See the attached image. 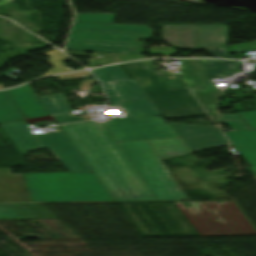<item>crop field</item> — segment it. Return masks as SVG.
<instances>
[{
    "mask_svg": "<svg viewBox=\"0 0 256 256\" xmlns=\"http://www.w3.org/2000/svg\"><path fill=\"white\" fill-rule=\"evenodd\" d=\"M113 107L124 108L125 117L160 115L149 99L116 104Z\"/></svg>",
    "mask_w": 256,
    "mask_h": 256,
    "instance_id": "obj_21",
    "label": "crop field"
},
{
    "mask_svg": "<svg viewBox=\"0 0 256 256\" xmlns=\"http://www.w3.org/2000/svg\"><path fill=\"white\" fill-rule=\"evenodd\" d=\"M151 35L148 26L74 22L65 49L122 53V48L132 47L135 52L125 54H137L140 43L132 40Z\"/></svg>",
    "mask_w": 256,
    "mask_h": 256,
    "instance_id": "obj_3",
    "label": "crop field"
},
{
    "mask_svg": "<svg viewBox=\"0 0 256 256\" xmlns=\"http://www.w3.org/2000/svg\"><path fill=\"white\" fill-rule=\"evenodd\" d=\"M56 218L40 204H0V220Z\"/></svg>",
    "mask_w": 256,
    "mask_h": 256,
    "instance_id": "obj_12",
    "label": "crop field"
},
{
    "mask_svg": "<svg viewBox=\"0 0 256 256\" xmlns=\"http://www.w3.org/2000/svg\"><path fill=\"white\" fill-rule=\"evenodd\" d=\"M118 144L159 200L188 199L147 140Z\"/></svg>",
    "mask_w": 256,
    "mask_h": 256,
    "instance_id": "obj_6",
    "label": "crop field"
},
{
    "mask_svg": "<svg viewBox=\"0 0 256 256\" xmlns=\"http://www.w3.org/2000/svg\"><path fill=\"white\" fill-rule=\"evenodd\" d=\"M20 151L43 148L23 121L1 124Z\"/></svg>",
    "mask_w": 256,
    "mask_h": 256,
    "instance_id": "obj_15",
    "label": "crop field"
},
{
    "mask_svg": "<svg viewBox=\"0 0 256 256\" xmlns=\"http://www.w3.org/2000/svg\"><path fill=\"white\" fill-rule=\"evenodd\" d=\"M89 75H90L89 72L83 71V72L59 75L58 77L62 80H65V79H71V78H77V77H83V76H89Z\"/></svg>",
    "mask_w": 256,
    "mask_h": 256,
    "instance_id": "obj_30",
    "label": "crop field"
},
{
    "mask_svg": "<svg viewBox=\"0 0 256 256\" xmlns=\"http://www.w3.org/2000/svg\"><path fill=\"white\" fill-rule=\"evenodd\" d=\"M237 61L207 60L205 74L212 82L227 80L235 71L233 66Z\"/></svg>",
    "mask_w": 256,
    "mask_h": 256,
    "instance_id": "obj_20",
    "label": "crop field"
},
{
    "mask_svg": "<svg viewBox=\"0 0 256 256\" xmlns=\"http://www.w3.org/2000/svg\"><path fill=\"white\" fill-rule=\"evenodd\" d=\"M8 1H10V0H1L0 5L3 4V3H6Z\"/></svg>",
    "mask_w": 256,
    "mask_h": 256,
    "instance_id": "obj_34",
    "label": "crop field"
},
{
    "mask_svg": "<svg viewBox=\"0 0 256 256\" xmlns=\"http://www.w3.org/2000/svg\"><path fill=\"white\" fill-rule=\"evenodd\" d=\"M43 147H48L68 172H92L63 131L36 135Z\"/></svg>",
    "mask_w": 256,
    "mask_h": 256,
    "instance_id": "obj_10",
    "label": "crop field"
},
{
    "mask_svg": "<svg viewBox=\"0 0 256 256\" xmlns=\"http://www.w3.org/2000/svg\"><path fill=\"white\" fill-rule=\"evenodd\" d=\"M225 135L250 166L256 165V131L227 132Z\"/></svg>",
    "mask_w": 256,
    "mask_h": 256,
    "instance_id": "obj_16",
    "label": "crop field"
},
{
    "mask_svg": "<svg viewBox=\"0 0 256 256\" xmlns=\"http://www.w3.org/2000/svg\"><path fill=\"white\" fill-rule=\"evenodd\" d=\"M116 141L156 139L178 136L160 117L112 119L104 123Z\"/></svg>",
    "mask_w": 256,
    "mask_h": 256,
    "instance_id": "obj_7",
    "label": "crop field"
},
{
    "mask_svg": "<svg viewBox=\"0 0 256 256\" xmlns=\"http://www.w3.org/2000/svg\"><path fill=\"white\" fill-rule=\"evenodd\" d=\"M251 129H256V111L239 113Z\"/></svg>",
    "mask_w": 256,
    "mask_h": 256,
    "instance_id": "obj_27",
    "label": "crop field"
},
{
    "mask_svg": "<svg viewBox=\"0 0 256 256\" xmlns=\"http://www.w3.org/2000/svg\"><path fill=\"white\" fill-rule=\"evenodd\" d=\"M206 60H180L181 75L188 88L208 110L216 113L214 104L221 92L204 74Z\"/></svg>",
    "mask_w": 256,
    "mask_h": 256,
    "instance_id": "obj_8",
    "label": "crop field"
},
{
    "mask_svg": "<svg viewBox=\"0 0 256 256\" xmlns=\"http://www.w3.org/2000/svg\"><path fill=\"white\" fill-rule=\"evenodd\" d=\"M209 53L213 54L216 57H226V58H233L227 52H225L222 48L217 49H209L207 50Z\"/></svg>",
    "mask_w": 256,
    "mask_h": 256,
    "instance_id": "obj_31",
    "label": "crop field"
},
{
    "mask_svg": "<svg viewBox=\"0 0 256 256\" xmlns=\"http://www.w3.org/2000/svg\"><path fill=\"white\" fill-rule=\"evenodd\" d=\"M95 83V80H84L80 87H79V90L80 91H85V90H89L92 85Z\"/></svg>",
    "mask_w": 256,
    "mask_h": 256,
    "instance_id": "obj_32",
    "label": "crop field"
},
{
    "mask_svg": "<svg viewBox=\"0 0 256 256\" xmlns=\"http://www.w3.org/2000/svg\"><path fill=\"white\" fill-rule=\"evenodd\" d=\"M210 117L214 122L218 123L217 116L210 115Z\"/></svg>",
    "mask_w": 256,
    "mask_h": 256,
    "instance_id": "obj_33",
    "label": "crop field"
},
{
    "mask_svg": "<svg viewBox=\"0 0 256 256\" xmlns=\"http://www.w3.org/2000/svg\"><path fill=\"white\" fill-rule=\"evenodd\" d=\"M19 111L5 91L0 92V123L24 119Z\"/></svg>",
    "mask_w": 256,
    "mask_h": 256,
    "instance_id": "obj_22",
    "label": "crop field"
},
{
    "mask_svg": "<svg viewBox=\"0 0 256 256\" xmlns=\"http://www.w3.org/2000/svg\"><path fill=\"white\" fill-rule=\"evenodd\" d=\"M221 123L230 127L232 131L249 129L238 114L220 116Z\"/></svg>",
    "mask_w": 256,
    "mask_h": 256,
    "instance_id": "obj_26",
    "label": "crop field"
},
{
    "mask_svg": "<svg viewBox=\"0 0 256 256\" xmlns=\"http://www.w3.org/2000/svg\"><path fill=\"white\" fill-rule=\"evenodd\" d=\"M74 21L113 23L115 14H76Z\"/></svg>",
    "mask_w": 256,
    "mask_h": 256,
    "instance_id": "obj_25",
    "label": "crop field"
},
{
    "mask_svg": "<svg viewBox=\"0 0 256 256\" xmlns=\"http://www.w3.org/2000/svg\"><path fill=\"white\" fill-rule=\"evenodd\" d=\"M2 88H3V85L1 84V85H0V89H2Z\"/></svg>",
    "mask_w": 256,
    "mask_h": 256,
    "instance_id": "obj_36",
    "label": "crop field"
},
{
    "mask_svg": "<svg viewBox=\"0 0 256 256\" xmlns=\"http://www.w3.org/2000/svg\"><path fill=\"white\" fill-rule=\"evenodd\" d=\"M114 55L116 56L118 62L146 58V55H125V54H114Z\"/></svg>",
    "mask_w": 256,
    "mask_h": 256,
    "instance_id": "obj_28",
    "label": "crop field"
},
{
    "mask_svg": "<svg viewBox=\"0 0 256 256\" xmlns=\"http://www.w3.org/2000/svg\"><path fill=\"white\" fill-rule=\"evenodd\" d=\"M65 52L68 55L95 58V59H87L89 62L88 68L115 62L113 56L109 54L92 53V55H86L84 52H74V51H68V50H65ZM98 55H102V58H98Z\"/></svg>",
    "mask_w": 256,
    "mask_h": 256,
    "instance_id": "obj_24",
    "label": "crop field"
},
{
    "mask_svg": "<svg viewBox=\"0 0 256 256\" xmlns=\"http://www.w3.org/2000/svg\"><path fill=\"white\" fill-rule=\"evenodd\" d=\"M254 173L256 174V166L252 167Z\"/></svg>",
    "mask_w": 256,
    "mask_h": 256,
    "instance_id": "obj_35",
    "label": "crop field"
},
{
    "mask_svg": "<svg viewBox=\"0 0 256 256\" xmlns=\"http://www.w3.org/2000/svg\"><path fill=\"white\" fill-rule=\"evenodd\" d=\"M202 236L256 235L231 202H176Z\"/></svg>",
    "mask_w": 256,
    "mask_h": 256,
    "instance_id": "obj_5",
    "label": "crop field"
},
{
    "mask_svg": "<svg viewBox=\"0 0 256 256\" xmlns=\"http://www.w3.org/2000/svg\"><path fill=\"white\" fill-rule=\"evenodd\" d=\"M174 89L184 88L178 74H168Z\"/></svg>",
    "mask_w": 256,
    "mask_h": 256,
    "instance_id": "obj_29",
    "label": "crop field"
},
{
    "mask_svg": "<svg viewBox=\"0 0 256 256\" xmlns=\"http://www.w3.org/2000/svg\"><path fill=\"white\" fill-rule=\"evenodd\" d=\"M42 54L49 57L47 62L53 66L43 76L73 71L72 69L62 65L68 58L59 51L53 49Z\"/></svg>",
    "mask_w": 256,
    "mask_h": 256,
    "instance_id": "obj_23",
    "label": "crop field"
},
{
    "mask_svg": "<svg viewBox=\"0 0 256 256\" xmlns=\"http://www.w3.org/2000/svg\"><path fill=\"white\" fill-rule=\"evenodd\" d=\"M91 72L105 86L112 104L147 98L135 81H130L129 77L118 65L100 68Z\"/></svg>",
    "mask_w": 256,
    "mask_h": 256,
    "instance_id": "obj_9",
    "label": "crop field"
},
{
    "mask_svg": "<svg viewBox=\"0 0 256 256\" xmlns=\"http://www.w3.org/2000/svg\"><path fill=\"white\" fill-rule=\"evenodd\" d=\"M148 141L152 145L160 159L191 152L181 138Z\"/></svg>",
    "mask_w": 256,
    "mask_h": 256,
    "instance_id": "obj_19",
    "label": "crop field"
},
{
    "mask_svg": "<svg viewBox=\"0 0 256 256\" xmlns=\"http://www.w3.org/2000/svg\"><path fill=\"white\" fill-rule=\"evenodd\" d=\"M40 99L57 124L85 120L81 117L74 116L62 94L42 96Z\"/></svg>",
    "mask_w": 256,
    "mask_h": 256,
    "instance_id": "obj_18",
    "label": "crop field"
},
{
    "mask_svg": "<svg viewBox=\"0 0 256 256\" xmlns=\"http://www.w3.org/2000/svg\"><path fill=\"white\" fill-rule=\"evenodd\" d=\"M198 25H164L162 38L173 46L196 48Z\"/></svg>",
    "mask_w": 256,
    "mask_h": 256,
    "instance_id": "obj_13",
    "label": "crop field"
},
{
    "mask_svg": "<svg viewBox=\"0 0 256 256\" xmlns=\"http://www.w3.org/2000/svg\"><path fill=\"white\" fill-rule=\"evenodd\" d=\"M172 126L192 152L228 143L218 127L190 126L173 123Z\"/></svg>",
    "mask_w": 256,
    "mask_h": 256,
    "instance_id": "obj_11",
    "label": "crop field"
},
{
    "mask_svg": "<svg viewBox=\"0 0 256 256\" xmlns=\"http://www.w3.org/2000/svg\"><path fill=\"white\" fill-rule=\"evenodd\" d=\"M135 79L144 78L140 84L166 118L205 114L186 89L173 90L166 71H154L153 60L125 63Z\"/></svg>",
    "mask_w": 256,
    "mask_h": 256,
    "instance_id": "obj_4",
    "label": "crop field"
},
{
    "mask_svg": "<svg viewBox=\"0 0 256 256\" xmlns=\"http://www.w3.org/2000/svg\"><path fill=\"white\" fill-rule=\"evenodd\" d=\"M33 201H112L94 173L25 174Z\"/></svg>",
    "mask_w": 256,
    "mask_h": 256,
    "instance_id": "obj_2",
    "label": "crop field"
},
{
    "mask_svg": "<svg viewBox=\"0 0 256 256\" xmlns=\"http://www.w3.org/2000/svg\"><path fill=\"white\" fill-rule=\"evenodd\" d=\"M227 26L199 25L197 51L226 45Z\"/></svg>",
    "mask_w": 256,
    "mask_h": 256,
    "instance_id": "obj_17",
    "label": "crop field"
},
{
    "mask_svg": "<svg viewBox=\"0 0 256 256\" xmlns=\"http://www.w3.org/2000/svg\"><path fill=\"white\" fill-rule=\"evenodd\" d=\"M26 118L47 116L46 108L41 106L34 92L28 85L8 90Z\"/></svg>",
    "mask_w": 256,
    "mask_h": 256,
    "instance_id": "obj_14",
    "label": "crop field"
},
{
    "mask_svg": "<svg viewBox=\"0 0 256 256\" xmlns=\"http://www.w3.org/2000/svg\"><path fill=\"white\" fill-rule=\"evenodd\" d=\"M61 128L115 200H156L101 123Z\"/></svg>",
    "mask_w": 256,
    "mask_h": 256,
    "instance_id": "obj_1",
    "label": "crop field"
}]
</instances>
